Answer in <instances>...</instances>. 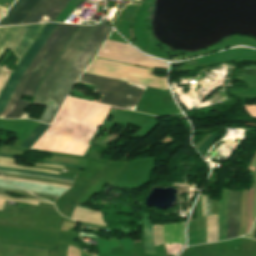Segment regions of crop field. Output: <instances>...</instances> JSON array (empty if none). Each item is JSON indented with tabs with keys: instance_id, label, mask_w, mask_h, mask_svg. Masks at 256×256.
Listing matches in <instances>:
<instances>
[{
	"instance_id": "1d83c4d3",
	"label": "crop field",
	"mask_w": 256,
	"mask_h": 256,
	"mask_svg": "<svg viewBox=\"0 0 256 256\" xmlns=\"http://www.w3.org/2000/svg\"><path fill=\"white\" fill-rule=\"evenodd\" d=\"M253 217L256 218V188H255V198H254V206H253Z\"/></svg>"
},
{
	"instance_id": "0bd39190",
	"label": "crop field",
	"mask_w": 256,
	"mask_h": 256,
	"mask_svg": "<svg viewBox=\"0 0 256 256\" xmlns=\"http://www.w3.org/2000/svg\"><path fill=\"white\" fill-rule=\"evenodd\" d=\"M0 194H1V195H7L6 193H2V192H0ZM7 196H9V195H7ZM20 196H24V195H20ZM24 197L36 198V197H34V196H24ZM37 199H40V198H37Z\"/></svg>"
},
{
	"instance_id": "c035e120",
	"label": "crop field",
	"mask_w": 256,
	"mask_h": 256,
	"mask_svg": "<svg viewBox=\"0 0 256 256\" xmlns=\"http://www.w3.org/2000/svg\"><path fill=\"white\" fill-rule=\"evenodd\" d=\"M1 156H6V157H11V158H13L14 156H12V155H7V154H0Z\"/></svg>"
},
{
	"instance_id": "d1516ede",
	"label": "crop field",
	"mask_w": 256,
	"mask_h": 256,
	"mask_svg": "<svg viewBox=\"0 0 256 256\" xmlns=\"http://www.w3.org/2000/svg\"><path fill=\"white\" fill-rule=\"evenodd\" d=\"M6 181H8V180H6ZM8 182H10L14 185H17L21 188H25L35 195L43 196V197L57 198L63 192L66 191V189L52 187V186H46V185L23 183V182H16V181H8Z\"/></svg>"
},
{
	"instance_id": "b80d0937",
	"label": "crop field",
	"mask_w": 256,
	"mask_h": 256,
	"mask_svg": "<svg viewBox=\"0 0 256 256\" xmlns=\"http://www.w3.org/2000/svg\"><path fill=\"white\" fill-rule=\"evenodd\" d=\"M4 10H5V8L0 7V16H1V14L4 12Z\"/></svg>"
},
{
	"instance_id": "e52e79f7",
	"label": "crop field",
	"mask_w": 256,
	"mask_h": 256,
	"mask_svg": "<svg viewBox=\"0 0 256 256\" xmlns=\"http://www.w3.org/2000/svg\"><path fill=\"white\" fill-rule=\"evenodd\" d=\"M70 0H41L22 24L54 21Z\"/></svg>"
},
{
	"instance_id": "730fd06b",
	"label": "crop field",
	"mask_w": 256,
	"mask_h": 256,
	"mask_svg": "<svg viewBox=\"0 0 256 256\" xmlns=\"http://www.w3.org/2000/svg\"><path fill=\"white\" fill-rule=\"evenodd\" d=\"M5 200H7V201H12V202L31 203V204H35V205H36V203H37V202H33V201L10 200V199L0 198V210L3 209Z\"/></svg>"
},
{
	"instance_id": "e1f06a70",
	"label": "crop field",
	"mask_w": 256,
	"mask_h": 256,
	"mask_svg": "<svg viewBox=\"0 0 256 256\" xmlns=\"http://www.w3.org/2000/svg\"><path fill=\"white\" fill-rule=\"evenodd\" d=\"M219 136V134L213 139V141L209 144V146L215 141V139ZM217 140V139H216ZM209 146L205 149V151L203 152V156L205 155L207 149L209 148Z\"/></svg>"
},
{
	"instance_id": "5142ce71",
	"label": "crop field",
	"mask_w": 256,
	"mask_h": 256,
	"mask_svg": "<svg viewBox=\"0 0 256 256\" xmlns=\"http://www.w3.org/2000/svg\"><path fill=\"white\" fill-rule=\"evenodd\" d=\"M151 214H143V239L146 252L155 254L152 238V223L148 220Z\"/></svg>"
},
{
	"instance_id": "dafd665d",
	"label": "crop field",
	"mask_w": 256,
	"mask_h": 256,
	"mask_svg": "<svg viewBox=\"0 0 256 256\" xmlns=\"http://www.w3.org/2000/svg\"><path fill=\"white\" fill-rule=\"evenodd\" d=\"M2 174L6 175V176L25 178V179H30V180L45 181V182L58 183V184H64V185L71 186L70 183H65V182H61V181H55V180H49V179H37V178L25 177V176H20V175H12V174H4V173H2Z\"/></svg>"
},
{
	"instance_id": "4177f3b9",
	"label": "crop field",
	"mask_w": 256,
	"mask_h": 256,
	"mask_svg": "<svg viewBox=\"0 0 256 256\" xmlns=\"http://www.w3.org/2000/svg\"><path fill=\"white\" fill-rule=\"evenodd\" d=\"M4 179L16 180V181H24V182H32V183H40V184H47V185H52V186L69 188L68 186H64V185H57V184H51V183H45V182L30 181V180H24V179H18V178L6 177V176H4Z\"/></svg>"
},
{
	"instance_id": "d9b57169",
	"label": "crop field",
	"mask_w": 256,
	"mask_h": 256,
	"mask_svg": "<svg viewBox=\"0 0 256 256\" xmlns=\"http://www.w3.org/2000/svg\"><path fill=\"white\" fill-rule=\"evenodd\" d=\"M207 222V242L217 241L218 220L217 215L206 217Z\"/></svg>"
},
{
	"instance_id": "4a817a6b",
	"label": "crop field",
	"mask_w": 256,
	"mask_h": 256,
	"mask_svg": "<svg viewBox=\"0 0 256 256\" xmlns=\"http://www.w3.org/2000/svg\"><path fill=\"white\" fill-rule=\"evenodd\" d=\"M253 195H254V185L252 186V188L249 189V192H248V201H247L248 220H247V227H246L245 233L250 232V228L252 225Z\"/></svg>"
},
{
	"instance_id": "733c2abd",
	"label": "crop field",
	"mask_w": 256,
	"mask_h": 256,
	"mask_svg": "<svg viewBox=\"0 0 256 256\" xmlns=\"http://www.w3.org/2000/svg\"><path fill=\"white\" fill-rule=\"evenodd\" d=\"M49 125L40 123L38 127L33 131V133L28 137V139L23 143L21 147L30 148L34 142L45 132Z\"/></svg>"
},
{
	"instance_id": "ae1a2a85",
	"label": "crop field",
	"mask_w": 256,
	"mask_h": 256,
	"mask_svg": "<svg viewBox=\"0 0 256 256\" xmlns=\"http://www.w3.org/2000/svg\"><path fill=\"white\" fill-rule=\"evenodd\" d=\"M211 214V199L209 196H206V215Z\"/></svg>"
},
{
	"instance_id": "8a807250",
	"label": "crop field",
	"mask_w": 256,
	"mask_h": 256,
	"mask_svg": "<svg viewBox=\"0 0 256 256\" xmlns=\"http://www.w3.org/2000/svg\"><path fill=\"white\" fill-rule=\"evenodd\" d=\"M110 31L105 19L100 26L81 25L44 77L34 97L32 104L47 106L39 121L51 123L70 88Z\"/></svg>"
},
{
	"instance_id": "028f5c9d",
	"label": "crop field",
	"mask_w": 256,
	"mask_h": 256,
	"mask_svg": "<svg viewBox=\"0 0 256 256\" xmlns=\"http://www.w3.org/2000/svg\"><path fill=\"white\" fill-rule=\"evenodd\" d=\"M204 199L205 195L202 196V208H203V216L205 215V209H204Z\"/></svg>"
},
{
	"instance_id": "bd1437ed",
	"label": "crop field",
	"mask_w": 256,
	"mask_h": 256,
	"mask_svg": "<svg viewBox=\"0 0 256 256\" xmlns=\"http://www.w3.org/2000/svg\"><path fill=\"white\" fill-rule=\"evenodd\" d=\"M0 197L10 198V197H7V196H1V195H0ZM11 199L33 200V201H40V202H46V203H49L48 201H42V200H36V199H30V198H11Z\"/></svg>"
},
{
	"instance_id": "ac0d7876",
	"label": "crop field",
	"mask_w": 256,
	"mask_h": 256,
	"mask_svg": "<svg viewBox=\"0 0 256 256\" xmlns=\"http://www.w3.org/2000/svg\"><path fill=\"white\" fill-rule=\"evenodd\" d=\"M77 27L78 25L58 24L22 75L6 109L0 113V117L19 118L28 105V102H25L22 99L23 94L33 96L40 80Z\"/></svg>"
},
{
	"instance_id": "214f88e0",
	"label": "crop field",
	"mask_w": 256,
	"mask_h": 256,
	"mask_svg": "<svg viewBox=\"0 0 256 256\" xmlns=\"http://www.w3.org/2000/svg\"><path fill=\"white\" fill-rule=\"evenodd\" d=\"M153 237L155 246L164 243L163 226H153Z\"/></svg>"
},
{
	"instance_id": "3316defc",
	"label": "crop field",
	"mask_w": 256,
	"mask_h": 256,
	"mask_svg": "<svg viewBox=\"0 0 256 256\" xmlns=\"http://www.w3.org/2000/svg\"><path fill=\"white\" fill-rule=\"evenodd\" d=\"M240 196L241 192L230 189L229 210H228V230L226 239L235 238L240 227Z\"/></svg>"
},
{
	"instance_id": "28ad6ade",
	"label": "crop field",
	"mask_w": 256,
	"mask_h": 256,
	"mask_svg": "<svg viewBox=\"0 0 256 256\" xmlns=\"http://www.w3.org/2000/svg\"><path fill=\"white\" fill-rule=\"evenodd\" d=\"M196 216H197V220H193V218L191 217L190 223H189V228H188L189 245L202 243L201 233H200V217H201L202 240H203V243L206 242V222H205V217H202V208H201L200 198L196 204Z\"/></svg>"
},
{
	"instance_id": "5866460e",
	"label": "crop field",
	"mask_w": 256,
	"mask_h": 256,
	"mask_svg": "<svg viewBox=\"0 0 256 256\" xmlns=\"http://www.w3.org/2000/svg\"><path fill=\"white\" fill-rule=\"evenodd\" d=\"M255 164H256V156H255V158H254V160H253V162H252V164L250 166V169L255 170Z\"/></svg>"
},
{
	"instance_id": "92a150f3",
	"label": "crop field",
	"mask_w": 256,
	"mask_h": 256,
	"mask_svg": "<svg viewBox=\"0 0 256 256\" xmlns=\"http://www.w3.org/2000/svg\"><path fill=\"white\" fill-rule=\"evenodd\" d=\"M12 161H15V160L11 159V158H5V157H1L0 156V163L12 164ZM0 166L12 167V168H20V169H28V170H36V171H44V172H50V173H56L57 174V172H55V171H48V170H42V169H36V168L18 167V166H10V165H2V164H0Z\"/></svg>"
},
{
	"instance_id": "dd49c442",
	"label": "crop field",
	"mask_w": 256,
	"mask_h": 256,
	"mask_svg": "<svg viewBox=\"0 0 256 256\" xmlns=\"http://www.w3.org/2000/svg\"><path fill=\"white\" fill-rule=\"evenodd\" d=\"M56 26H57V24H55V23H48V25L43 30V32L41 33V35L39 36V38L37 39L35 44L32 46V48L30 49V51L28 52V54L26 55L24 60L21 62V64L17 68V70L12 73V75H11V77H10L1 97H0V112L5 109V106H6L7 102L9 101L21 75L26 70V68L28 67L30 62L33 60L35 55L38 53V51L40 50V48L45 43V41L50 36V34L52 33V31L54 30V28Z\"/></svg>"
},
{
	"instance_id": "5a996713",
	"label": "crop field",
	"mask_w": 256,
	"mask_h": 256,
	"mask_svg": "<svg viewBox=\"0 0 256 256\" xmlns=\"http://www.w3.org/2000/svg\"><path fill=\"white\" fill-rule=\"evenodd\" d=\"M185 223L164 225L165 247L167 253L177 254L185 243Z\"/></svg>"
},
{
	"instance_id": "03da06ac",
	"label": "crop field",
	"mask_w": 256,
	"mask_h": 256,
	"mask_svg": "<svg viewBox=\"0 0 256 256\" xmlns=\"http://www.w3.org/2000/svg\"><path fill=\"white\" fill-rule=\"evenodd\" d=\"M0 178H1V179H3V177H2V176H0Z\"/></svg>"
},
{
	"instance_id": "34b2d1b8",
	"label": "crop field",
	"mask_w": 256,
	"mask_h": 256,
	"mask_svg": "<svg viewBox=\"0 0 256 256\" xmlns=\"http://www.w3.org/2000/svg\"><path fill=\"white\" fill-rule=\"evenodd\" d=\"M79 82L97 86L95 92L104 94L101 102L134 110L145 87L83 73ZM94 92V91H93Z\"/></svg>"
},
{
	"instance_id": "22f410ed",
	"label": "crop field",
	"mask_w": 256,
	"mask_h": 256,
	"mask_svg": "<svg viewBox=\"0 0 256 256\" xmlns=\"http://www.w3.org/2000/svg\"><path fill=\"white\" fill-rule=\"evenodd\" d=\"M228 192H229V189L222 187L220 198H219V210H218V220H219L218 241L224 240L226 236Z\"/></svg>"
},
{
	"instance_id": "5d738f31",
	"label": "crop field",
	"mask_w": 256,
	"mask_h": 256,
	"mask_svg": "<svg viewBox=\"0 0 256 256\" xmlns=\"http://www.w3.org/2000/svg\"><path fill=\"white\" fill-rule=\"evenodd\" d=\"M256 110V109H255Z\"/></svg>"
},
{
	"instance_id": "cbeb9de0",
	"label": "crop field",
	"mask_w": 256,
	"mask_h": 256,
	"mask_svg": "<svg viewBox=\"0 0 256 256\" xmlns=\"http://www.w3.org/2000/svg\"><path fill=\"white\" fill-rule=\"evenodd\" d=\"M73 219H75L77 221H82V222L106 225V224H104L99 212L82 209V208H78V207L76 208V210L73 214Z\"/></svg>"
},
{
	"instance_id": "eef30255",
	"label": "crop field",
	"mask_w": 256,
	"mask_h": 256,
	"mask_svg": "<svg viewBox=\"0 0 256 256\" xmlns=\"http://www.w3.org/2000/svg\"><path fill=\"white\" fill-rule=\"evenodd\" d=\"M218 133L215 132L209 139H207L200 147L199 152L202 153L203 150L207 147V145L212 141V139L217 135Z\"/></svg>"
},
{
	"instance_id": "f4fd0767",
	"label": "crop field",
	"mask_w": 256,
	"mask_h": 256,
	"mask_svg": "<svg viewBox=\"0 0 256 256\" xmlns=\"http://www.w3.org/2000/svg\"><path fill=\"white\" fill-rule=\"evenodd\" d=\"M98 57L120 61L128 64H136L148 68L166 69L167 63L154 58L146 57L138 53L127 44L107 40Z\"/></svg>"
},
{
	"instance_id": "d3111659",
	"label": "crop field",
	"mask_w": 256,
	"mask_h": 256,
	"mask_svg": "<svg viewBox=\"0 0 256 256\" xmlns=\"http://www.w3.org/2000/svg\"><path fill=\"white\" fill-rule=\"evenodd\" d=\"M41 162H47V163H54V164L67 165V166H71V167H75V168H81V167H83V166H79V165L66 164V163H58V162H49V161H41Z\"/></svg>"
},
{
	"instance_id": "bc2a9ffb",
	"label": "crop field",
	"mask_w": 256,
	"mask_h": 256,
	"mask_svg": "<svg viewBox=\"0 0 256 256\" xmlns=\"http://www.w3.org/2000/svg\"><path fill=\"white\" fill-rule=\"evenodd\" d=\"M0 191L32 195L23 189L14 187V186L4 182L3 180H0Z\"/></svg>"
},
{
	"instance_id": "120bbe31",
	"label": "crop field",
	"mask_w": 256,
	"mask_h": 256,
	"mask_svg": "<svg viewBox=\"0 0 256 256\" xmlns=\"http://www.w3.org/2000/svg\"><path fill=\"white\" fill-rule=\"evenodd\" d=\"M34 164H35V163H34ZM35 165L64 168V166H61V165H52V164H35Z\"/></svg>"
},
{
	"instance_id": "d8731c3e",
	"label": "crop field",
	"mask_w": 256,
	"mask_h": 256,
	"mask_svg": "<svg viewBox=\"0 0 256 256\" xmlns=\"http://www.w3.org/2000/svg\"><path fill=\"white\" fill-rule=\"evenodd\" d=\"M40 0H17L0 20V26L21 24Z\"/></svg>"
},
{
	"instance_id": "d32e631a",
	"label": "crop field",
	"mask_w": 256,
	"mask_h": 256,
	"mask_svg": "<svg viewBox=\"0 0 256 256\" xmlns=\"http://www.w3.org/2000/svg\"><path fill=\"white\" fill-rule=\"evenodd\" d=\"M255 234H256V221L253 225V228H252V235H251V238H255Z\"/></svg>"
},
{
	"instance_id": "b54c1fbb",
	"label": "crop field",
	"mask_w": 256,
	"mask_h": 256,
	"mask_svg": "<svg viewBox=\"0 0 256 256\" xmlns=\"http://www.w3.org/2000/svg\"><path fill=\"white\" fill-rule=\"evenodd\" d=\"M1 175V174H0Z\"/></svg>"
},
{
	"instance_id": "a9b5d70f",
	"label": "crop field",
	"mask_w": 256,
	"mask_h": 256,
	"mask_svg": "<svg viewBox=\"0 0 256 256\" xmlns=\"http://www.w3.org/2000/svg\"><path fill=\"white\" fill-rule=\"evenodd\" d=\"M0 172L12 173V174H20V175H26V176H31V177H37V178H50V179H56V180L70 182V183L73 182V181L63 180V179H59V178H55V177H49V176L31 175V174H24V173L12 172V171H1V170H0Z\"/></svg>"
},
{
	"instance_id": "750c4746",
	"label": "crop field",
	"mask_w": 256,
	"mask_h": 256,
	"mask_svg": "<svg viewBox=\"0 0 256 256\" xmlns=\"http://www.w3.org/2000/svg\"><path fill=\"white\" fill-rule=\"evenodd\" d=\"M69 250H70V248H69ZM69 250H68V255H69ZM69 256H79V251L71 248Z\"/></svg>"
},
{
	"instance_id": "412701ff",
	"label": "crop field",
	"mask_w": 256,
	"mask_h": 256,
	"mask_svg": "<svg viewBox=\"0 0 256 256\" xmlns=\"http://www.w3.org/2000/svg\"><path fill=\"white\" fill-rule=\"evenodd\" d=\"M44 25L45 23L1 27L0 55L4 48L8 47L12 49L20 60Z\"/></svg>"
},
{
	"instance_id": "00972430",
	"label": "crop field",
	"mask_w": 256,
	"mask_h": 256,
	"mask_svg": "<svg viewBox=\"0 0 256 256\" xmlns=\"http://www.w3.org/2000/svg\"><path fill=\"white\" fill-rule=\"evenodd\" d=\"M0 168H1V169L12 170V171L25 172V173H33V174H41V175L56 176V177L65 178V179H71V180L74 179V178H72V177H66V176L55 175V174H50V173L34 172V171H25V170H18V169H12V168H3V167H0Z\"/></svg>"
},
{
	"instance_id": "c21b1889",
	"label": "crop field",
	"mask_w": 256,
	"mask_h": 256,
	"mask_svg": "<svg viewBox=\"0 0 256 256\" xmlns=\"http://www.w3.org/2000/svg\"><path fill=\"white\" fill-rule=\"evenodd\" d=\"M85 224H89V223H85ZM91 225H96V224H91ZM98 226H103V225H98ZM104 227H107V226H104Z\"/></svg>"
}]
</instances>
